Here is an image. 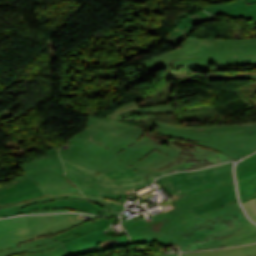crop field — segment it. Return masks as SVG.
Segmentation results:
<instances>
[{
	"label": "crop field",
	"instance_id": "1",
	"mask_svg": "<svg viewBox=\"0 0 256 256\" xmlns=\"http://www.w3.org/2000/svg\"><path fill=\"white\" fill-rule=\"evenodd\" d=\"M226 184L172 201L175 209L146 220L123 223L132 243L156 241L161 246L177 245L181 251L222 248L220 239L251 222L238 201L199 217L189 206L208 202L235 187L230 163L215 166Z\"/></svg>",
	"mask_w": 256,
	"mask_h": 256
},
{
	"label": "crop field",
	"instance_id": "2",
	"mask_svg": "<svg viewBox=\"0 0 256 256\" xmlns=\"http://www.w3.org/2000/svg\"><path fill=\"white\" fill-rule=\"evenodd\" d=\"M248 64H256V38L206 40L189 36L179 48L142 62L149 72L162 68L208 72L209 81L256 79V73L227 76L229 66Z\"/></svg>",
	"mask_w": 256,
	"mask_h": 256
},
{
	"label": "crop field",
	"instance_id": "3",
	"mask_svg": "<svg viewBox=\"0 0 256 256\" xmlns=\"http://www.w3.org/2000/svg\"><path fill=\"white\" fill-rule=\"evenodd\" d=\"M164 141L157 135L144 134L114 157L151 182L166 173L198 169L242 157L215 143L192 142L180 149Z\"/></svg>",
	"mask_w": 256,
	"mask_h": 256
},
{
	"label": "crop field",
	"instance_id": "4",
	"mask_svg": "<svg viewBox=\"0 0 256 256\" xmlns=\"http://www.w3.org/2000/svg\"><path fill=\"white\" fill-rule=\"evenodd\" d=\"M162 113L174 112L171 105L156 106L141 109L140 105L131 101L104 118L89 116L86 128L79 132L78 135L92 140L116 153L133 144L147 130L130 126L119 122L126 115L133 113Z\"/></svg>",
	"mask_w": 256,
	"mask_h": 256
},
{
	"label": "crop field",
	"instance_id": "5",
	"mask_svg": "<svg viewBox=\"0 0 256 256\" xmlns=\"http://www.w3.org/2000/svg\"><path fill=\"white\" fill-rule=\"evenodd\" d=\"M147 129L193 141L215 142L243 156L256 150V123L217 127H176L151 121Z\"/></svg>",
	"mask_w": 256,
	"mask_h": 256
},
{
	"label": "crop field",
	"instance_id": "6",
	"mask_svg": "<svg viewBox=\"0 0 256 256\" xmlns=\"http://www.w3.org/2000/svg\"><path fill=\"white\" fill-rule=\"evenodd\" d=\"M78 214L20 216L0 220V251L37 237L55 234L90 219ZM91 221V220H90Z\"/></svg>",
	"mask_w": 256,
	"mask_h": 256
},
{
	"label": "crop field",
	"instance_id": "7",
	"mask_svg": "<svg viewBox=\"0 0 256 256\" xmlns=\"http://www.w3.org/2000/svg\"><path fill=\"white\" fill-rule=\"evenodd\" d=\"M57 149L49 150V157L22 166L25 175L12 180L14 183L31 177L46 196L18 202L20 208L30 204L52 201L54 198H85L82 193L63 176L64 168Z\"/></svg>",
	"mask_w": 256,
	"mask_h": 256
},
{
	"label": "crop field",
	"instance_id": "8",
	"mask_svg": "<svg viewBox=\"0 0 256 256\" xmlns=\"http://www.w3.org/2000/svg\"><path fill=\"white\" fill-rule=\"evenodd\" d=\"M62 161L66 167L65 176L81 191L110 195H127L132 190L151 183L129 168L102 174L71 163L65 159H62Z\"/></svg>",
	"mask_w": 256,
	"mask_h": 256
},
{
	"label": "crop field",
	"instance_id": "9",
	"mask_svg": "<svg viewBox=\"0 0 256 256\" xmlns=\"http://www.w3.org/2000/svg\"><path fill=\"white\" fill-rule=\"evenodd\" d=\"M64 145L68 148H60V156L86 168L107 173L129 167L113 157L116 153L78 135Z\"/></svg>",
	"mask_w": 256,
	"mask_h": 256
},
{
	"label": "crop field",
	"instance_id": "10",
	"mask_svg": "<svg viewBox=\"0 0 256 256\" xmlns=\"http://www.w3.org/2000/svg\"><path fill=\"white\" fill-rule=\"evenodd\" d=\"M175 200L183 196L224 184L214 167L186 173H176L157 180Z\"/></svg>",
	"mask_w": 256,
	"mask_h": 256
},
{
	"label": "crop field",
	"instance_id": "11",
	"mask_svg": "<svg viewBox=\"0 0 256 256\" xmlns=\"http://www.w3.org/2000/svg\"><path fill=\"white\" fill-rule=\"evenodd\" d=\"M0 256H67L62 243L41 237L0 252Z\"/></svg>",
	"mask_w": 256,
	"mask_h": 256
},
{
	"label": "crop field",
	"instance_id": "12",
	"mask_svg": "<svg viewBox=\"0 0 256 256\" xmlns=\"http://www.w3.org/2000/svg\"><path fill=\"white\" fill-rule=\"evenodd\" d=\"M42 208H74L87 211H98L103 208L91 203L89 200L83 199H55L53 202H46L40 204L30 205L23 209H19L16 203H8L5 205L0 204V217L14 214H27L32 210Z\"/></svg>",
	"mask_w": 256,
	"mask_h": 256
},
{
	"label": "crop field",
	"instance_id": "13",
	"mask_svg": "<svg viewBox=\"0 0 256 256\" xmlns=\"http://www.w3.org/2000/svg\"><path fill=\"white\" fill-rule=\"evenodd\" d=\"M44 193L35 185L31 178L14 184L8 181L0 185V203L18 202L43 196Z\"/></svg>",
	"mask_w": 256,
	"mask_h": 256
},
{
	"label": "crop field",
	"instance_id": "14",
	"mask_svg": "<svg viewBox=\"0 0 256 256\" xmlns=\"http://www.w3.org/2000/svg\"><path fill=\"white\" fill-rule=\"evenodd\" d=\"M240 200L256 193V154L239 162L235 168Z\"/></svg>",
	"mask_w": 256,
	"mask_h": 256
},
{
	"label": "crop field",
	"instance_id": "15",
	"mask_svg": "<svg viewBox=\"0 0 256 256\" xmlns=\"http://www.w3.org/2000/svg\"><path fill=\"white\" fill-rule=\"evenodd\" d=\"M203 8L211 14H222L232 18H246L256 23V3L246 5L244 0H239L233 1L230 4L206 6Z\"/></svg>",
	"mask_w": 256,
	"mask_h": 256
},
{
	"label": "crop field",
	"instance_id": "16",
	"mask_svg": "<svg viewBox=\"0 0 256 256\" xmlns=\"http://www.w3.org/2000/svg\"><path fill=\"white\" fill-rule=\"evenodd\" d=\"M217 19L214 16L208 15L205 12H199L197 14L191 15L183 20L178 26H176L169 35L164 39L175 46H179L182 41L191 34L194 30H196L193 26L206 21Z\"/></svg>",
	"mask_w": 256,
	"mask_h": 256
},
{
	"label": "crop field",
	"instance_id": "17",
	"mask_svg": "<svg viewBox=\"0 0 256 256\" xmlns=\"http://www.w3.org/2000/svg\"><path fill=\"white\" fill-rule=\"evenodd\" d=\"M181 256H256V244L222 250L181 253Z\"/></svg>",
	"mask_w": 256,
	"mask_h": 256
},
{
	"label": "crop field",
	"instance_id": "18",
	"mask_svg": "<svg viewBox=\"0 0 256 256\" xmlns=\"http://www.w3.org/2000/svg\"><path fill=\"white\" fill-rule=\"evenodd\" d=\"M222 242L225 247L256 242V226L250 223L233 236L222 239Z\"/></svg>",
	"mask_w": 256,
	"mask_h": 256
},
{
	"label": "crop field",
	"instance_id": "19",
	"mask_svg": "<svg viewBox=\"0 0 256 256\" xmlns=\"http://www.w3.org/2000/svg\"><path fill=\"white\" fill-rule=\"evenodd\" d=\"M236 200L237 199H236V193H235V188H234L232 191L216 198L215 200H213L209 203H206V204H203V205L192 206L191 208L196 213V215L198 216V215H201L205 212H208L210 210L218 208L222 205L232 203Z\"/></svg>",
	"mask_w": 256,
	"mask_h": 256
},
{
	"label": "crop field",
	"instance_id": "20",
	"mask_svg": "<svg viewBox=\"0 0 256 256\" xmlns=\"http://www.w3.org/2000/svg\"><path fill=\"white\" fill-rule=\"evenodd\" d=\"M249 217L256 222V199L243 203Z\"/></svg>",
	"mask_w": 256,
	"mask_h": 256
},
{
	"label": "crop field",
	"instance_id": "21",
	"mask_svg": "<svg viewBox=\"0 0 256 256\" xmlns=\"http://www.w3.org/2000/svg\"><path fill=\"white\" fill-rule=\"evenodd\" d=\"M71 210H74V209H43V210L33 211L31 213L55 212V211H71ZM74 211L85 212V213L96 214V215H106L104 210L98 211V212H86V211H81V210H74Z\"/></svg>",
	"mask_w": 256,
	"mask_h": 256
},
{
	"label": "crop field",
	"instance_id": "22",
	"mask_svg": "<svg viewBox=\"0 0 256 256\" xmlns=\"http://www.w3.org/2000/svg\"><path fill=\"white\" fill-rule=\"evenodd\" d=\"M84 195H88V196H94V197H100V198H106V199H110V200H117L118 196H109V195H100V194H95V193H87V192H83Z\"/></svg>",
	"mask_w": 256,
	"mask_h": 256
},
{
	"label": "crop field",
	"instance_id": "23",
	"mask_svg": "<svg viewBox=\"0 0 256 256\" xmlns=\"http://www.w3.org/2000/svg\"><path fill=\"white\" fill-rule=\"evenodd\" d=\"M90 198V197H88ZM91 200H93L94 202H96L98 205L104 207V208H108L109 204L111 201L108 200H102V199H96V198H90Z\"/></svg>",
	"mask_w": 256,
	"mask_h": 256
},
{
	"label": "crop field",
	"instance_id": "24",
	"mask_svg": "<svg viewBox=\"0 0 256 256\" xmlns=\"http://www.w3.org/2000/svg\"><path fill=\"white\" fill-rule=\"evenodd\" d=\"M124 207H122V204L120 203H116V202H112L109 210H114V211H123Z\"/></svg>",
	"mask_w": 256,
	"mask_h": 256
},
{
	"label": "crop field",
	"instance_id": "25",
	"mask_svg": "<svg viewBox=\"0 0 256 256\" xmlns=\"http://www.w3.org/2000/svg\"><path fill=\"white\" fill-rule=\"evenodd\" d=\"M157 256H178V253H173V254H157Z\"/></svg>",
	"mask_w": 256,
	"mask_h": 256
},
{
	"label": "crop field",
	"instance_id": "26",
	"mask_svg": "<svg viewBox=\"0 0 256 256\" xmlns=\"http://www.w3.org/2000/svg\"><path fill=\"white\" fill-rule=\"evenodd\" d=\"M247 4H250V3H255L256 0H245Z\"/></svg>",
	"mask_w": 256,
	"mask_h": 256
},
{
	"label": "crop field",
	"instance_id": "27",
	"mask_svg": "<svg viewBox=\"0 0 256 256\" xmlns=\"http://www.w3.org/2000/svg\"><path fill=\"white\" fill-rule=\"evenodd\" d=\"M254 198H256V194H255L254 196H252L251 198H249V199H246V200H242V201H241V203H242V202H245V201H247V200H251V199H254Z\"/></svg>",
	"mask_w": 256,
	"mask_h": 256
},
{
	"label": "crop field",
	"instance_id": "28",
	"mask_svg": "<svg viewBox=\"0 0 256 256\" xmlns=\"http://www.w3.org/2000/svg\"><path fill=\"white\" fill-rule=\"evenodd\" d=\"M106 213H107V215H119L120 213H111V212H107L106 211Z\"/></svg>",
	"mask_w": 256,
	"mask_h": 256
},
{
	"label": "crop field",
	"instance_id": "29",
	"mask_svg": "<svg viewBox=\"0 0 256 256\" xmlns=\"http://www.w3.org/2000/svg\"><path fill=\"white\" fill-rule=\"evenodd\" d=\"M125 197H126V196H122V197H121V201H120V202H124Z\"/></svg>",
	"mask_w": 256,
	"mask_h": 256
},
{
	"label": "crop field",
	"instance_id": "30",
	"mask_svg": "<svg viewBox=\"0 0 256 256\" xmlns=\"http://www.w3.org/2000/svg\"><path fill=\"white\" fill-rule=\"evenodd\" d=\"M254 26H256V24Z\"/></svg>",
	"mask_w": 256,
	"mask_h": 256
}]
</instances>
